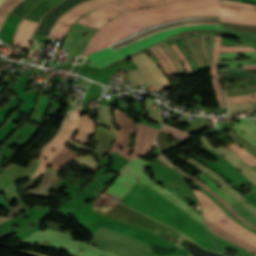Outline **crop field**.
Masks as SVG:
<instances>
[{"label": "crop field", "instance_id": "03da06ac", "mask_svg": "<svg viewBox=\"0 0 256 256\" xmlns=\"http://www.w3.org/2000/svg\"><path fill=\"white\" fill-rule=\"evenodd\" d=\"M148 167L152 168L153 170H155L156 172L166 176V175H170L173 174L172 172L168 171L167 169L153 163L150 161V163L148 164Z\"/></svg>", "mask_w": 256, "mask_h": 256}, {"label": "crop field", "instance_id": "00972430", "mask_svg": "<svg viewBox=\"0 0 256 256\" xmlns=\"http://www.w3.org/2000/svg\"><path fill=\"white\" fill-rule=\"evenodd\" d=\"M93 131L94 122L89 120V116H82L80 129L73 139L83 144L84 141L92 135Z\"/></svg>", "mask_w": 256, "mask_h": 256}, {"label": "crop field", "instance_id": "b80d0937", "mask_svg": "<svg viewBox=\"0 0 256 256\" xmlns=\"http://www.w3.org/2000/svg\"><path fill=\"white\" fill-rule=\"evenodd\" d=\"M162 130H163V131H166V132H168V133H170V134H172V135H174V136H176V137H178V138H181V139H183V140H185V141H187L188 138L190 137V135L187 134V133L178 131V130H176V129H173V128L168 127V126H165V125L163 126Z\"/></svg>", "mask_w": 256, "mask_h": 256}, {"label": "crop field", "instance_id": "d3111659", "mask_svg": "<svg viewBox=\"0 0 256 256\" xmlns=\"http://www.w3.org/2000/svg\"><path fill=\"white\" fill-rule=\"evenodd\" d=\"M168 137H169V134L160 131L157 142L161 152H164L166 150H169L171 148H174L176 146L186 143L185 141L174 137V141L168 144Z\"/></svg>", "mask_w": 256, "mask_h": 256}, {"label": "crop field", "instance_id": "120bbe31", "mask_svg": "<svg viewBox=\"0 0 256 256\" xmlns=\"http://www.w3.org/2000/svg\"><path fill=\"white\" fill-rule=\"evenodd\" d=\"M129 79L134 87L148 82L139 70H129Z\"/></svg>", "mask_w": 256, "mask_h": 256}, {"label": "crop field", "instance_id": "bc2a9ffb", "mask_svg": "<svg viewBox=\"0 0 256 256\" xmlns=\"http://www.w3.org/2000/svg\"><path fill=\"white\" fill-rule=\"evenodd\" d=\"M44 175L45 176L42 179L41 184L38 187L28 191V193H30L31 195L39 196V197H47L48 195H50L47 192L53 190L58 182L57 172L53 170H49L47 168Z\"/></svg>", "mask_w": 256, "mask_h": 256}, {"label": "crop field", "instance_id": "9d1cf04e", "mask_svg": "<svg viewBox=\"0 0 256 256\" xmlns=\"http://www.w3.org/2000/svg\"><path fill=\"white\" fill-rule=\"evenodd\" d=\"M76 6H77V5H76ZM76 6H75V7H76ZM72 9H73V8H72ZM70 10H71V9H70ZM70 10H68V11H70ZM68 11H67V12H68ZM67 12H66V13H67ZM66 13H65V14H66ZM62 16H63V15H62ZM62 16H61V17H62ZM55 25H56V24H55ZM53 28H54V27H53ZM35 36H36V35H35Z\"/></svg>", "mask_w": 256, "mask_h": 256}, {"label": "crop field", "instance_id": "f4fd0767", "mask_svg": "<svg viewBox=\"0 0 256 256\" xmlns=\"http://www.w3.org/2000/svg\"><path fill=\"white\" fill-rule=\"evenodd\" d=\"M193 192L201 203L204 218L218 225L235 237L256 247V234L248 231L230 219L216 204L200 191L193 190Z\"/></svg>", "mask_w": 256, "mask_h": 256}, {"label": "crop field", "instance_id": "447ae74e", "mask_svg": "<svg viewBox=\"0 0 256 256\" xmlns=\"http://www.w3.org/2000/svg\"><path fill=\"white\" fill-rule=\"evenodd\" d=\"M255 102V101H254ZM240 104H243V103H240ZM232 105H237V104H232ZM229 106H231V105H229Z\"/></svg>", "mask_w": 256, "mask_h": 256}, {"label": "crop field", "instance_id": "5d738f31", "mask_svg": "<svg viewBox=\"0 0 256 256\" xmlns=\"http://www.w3.org/2000/svg\"><path fill=\"white\" fill-rule=\"evenodd\" d=\"M232 131H235V132H237L238 134L242 135V136L245 137L247 140H249L253 145L256 146V142H255L254 140H252V139H251L250 137H248L247 135L242 134L241 131H240L238 128H236L235 126H233Z\"/></svg>", "mask_w": 256, "mask_h": 256}, {"label": "crop field", "instance_id": "d32e631a", "mask_svg": "<svg viewBox=\"0 0 256 256\" xmlns=\"http://www.w3.org/2000/svg\"><path fill=\"white\" fill-rule=\"evenodd\" d=\"M22 0H7L0 6V25L10 10Z\"/></svg>", "mask_w": 256, "mask_h": 256}, {"label": "crop field", "instance_id": "d1516ede", "mask_svg": "<svg viewBox=\"0 0 256 256\" xmlns=\"http://www.w3.org/2000/svg\"><path fill=\"white\" fill-rule=\"evenodd\" d=\"M159 59L155 61L164 74L168 77L176 74H186L177 56L166 42L150 47Z\"/></svg>", "mask_w": 256, "mask_h": 256}, {"label": "crop field", "instance_id": "25e5ab78", "mask_svg": "<svg viewBox=\"0 0 256 256\" xmlns=\"http://www.w3.org/2000/svg\"><path fill=\"white\" fill-rule=\"evenodd\" d=\"M250 89H256V86L255 87H248V88H242V89H237V90L229 91V92H227V94L234 93V92H239V91H244V90H250Z\"/></svg>", "mask_w": 256, "mask_h": 256}, {"label": "crop field", "instance_id": "8a807250", "mask_svg": "<svg viewBox=\"0 0 256 256\" xmlns=\"http://www.w3.org/2000/svg\"><path fill=\"white\" fill-rule=\"evenodd\" d=\"M219 8L220 6L217 0H188V1L166 5L162 7L124 13L118 16L117 18H115L114 20H112L111 22H109L108 24H106L105 26H103L102 28H100L95 33V35L89 42L83 56H87L91 53L102 50L110 46L114 42L136 31L155 25L157 23L176 19V18L219 12ZM214 20H219V13L176 19V20L160 23L155 26L149 27L147 29L141 30L121 41L116 42L111 46L113 47L114 50H116L151 32H155V31L176 26V25L202 22V21H214ZM194 29H221V26L219 24V21L202 22V23L176 26V27L168 28L155 33H151L116 51H114L110 46L102 51L96 52L88 56L87 58L91 59L89 65L96 66L102 62L112 59L118 55H121L127 51H130L136 47H139L159 37L177 33V32L194 30ZM220 32L221 30H194V31H187V32H182V33L162 37L148 44H145L139 48H136L130 52H127L121 56H118L112 60L102 63L96 67L102 68L112 62H115L121 58L128 57L132 53H135L148 46L159 43L165 39L174 38V37L192 34V33H220Z\"/></svg>", "mask_w": 256, "mask_h": 256}, {"label": "crop field", "instance_id": "22f410ed", "mask_svg": "<svg viewBox=\"0 0 256 256\" xmlns=\"http://www.w3.org/2000/svg\"><path fill=\"white\" fill-rule=\"evenodd\" d=\"M131 59L151 82L155 92L165 86H169V82L162 71L159 69L156 63L144 52L131 57Z\"/></svg>", "mask_w": 256, "mask_h": 256}, {"label": "crop field", "instance_id": "bd1437ed", "mask_svg": "<svg viewBox=\"0 0 256 256\" xmlns=\"http://www.w3.org/2000/svg\"><path fill=\"white\" fill-rule=\"evenodd\" d=\"M175 166V165H174ZM176 167V166H175ZM177 168V167H176ZM177 170L181 173L182 170H180L179 168H177ZM184 175L188 176L187 174L183 173ZM189 177V176H188ZM192 178V177H190ZM194 181H196L198 184H200L202 187H204L207 191H209L215 198H217L222 204H224L238 219H240L242 222L246 223L247 225L253 227L256 229V226L248 223L246 220H244L242 217H240L226 202H224L219 196H217L215 193H213L205 184H203L201 181L192 178Z\"/></svg>", "mask_w": 256, "mask_h": 256}, {"label": "crop field", "instance_id": "ae1a2a85", "mask_svg": "<svg viewBox=\"0 0 256 256\" xmlns=\"http://www.w3.org/2000/svg\"><path fill=\"white\" fill-rule=\"evenodd\" d=\"M199 180L206 183L211 189H213L222 199H224L230 206L238 203L235 201L231 196H229L227 193H225L222 189H220L211 179H209L206 175L203 173L200 177H196Z\"/></svg>", "mask_w": 256, "mask_h": 256}, {"label": "crop field", "instance_id": "5a996713", "mask_svg": "<svg viewBox=\"0 0 256 256\" xmlns=\"http://www.w3.org/2000/svg\"><path fill=\"white\" fill-rule=\"evenodd\" d=\"M205 150V152L213 155L216 157L219 161L213 163V162H206L201 157H197L194 154H191L196 159L200 160L201 162L208 165L210 168H212L214 171H216L218 174H220L222 177H224L229 183L233 182L234 184L231 185L236 189H240L239 187L251 184L252 189H250L252 192L244 196L247 200H249L254 206H256V186L246 177L244 176L237 168H235L231 163H229L226 159H224L219 154L213 152L212 150L208 149L204 145L201 147Z\"/></svg>", "mask_w": 256, "mask_h": 256}, {"label": "crop field", "instance_id": "89e229c0", "mask_svg": "<svg viewBox=\"0 0 256 256\" xmlns=\"http://www.w3.org/2000/svg\"><path fill=\"white\" fill-rule=\"evenodd\" d=\"M240 68L256 71V65L242 66V67H240Z\"/></svg>", "mask_w": 256, "mask_h": 256}, {"label": "crop field", "instance_id": "1f2cbd36", "mask_svg": "<svg viewBox=\"0 0 256 256\" xmlns=\"http://www.w3.org/2000/svg\"><path fill=\"white\" fill-rule=\"evenodd\" d=\"M157 157H159L161 160H163L165 163H167L169 166H171V167H173L172 166V164L170 163V161H168L165 157H163L161 154L159 155V156H157ZM174 168V167H173ZM175 169V168H174Z\"/></svg>", "mask_w": 256, "mask_h": 256}, {"label": "crop field", "instance_id": "028f5c9d", "mask_svg": "<svg viewBox=\"0 0 256 256\" xmlns=\"http://www.w3.org/2000/svg\"><path fill=\"white\" fill-rule=\"evenodd\" d=\"M238 55H243L246 58H256V52L227 53V54H220V60H239Z\"/></svg>", "mask_w": 256, "mask_h": 256}, {"label": "crop field", "instance_id": "dd49c442", "mask_svg": "<svg viewBox=\"0 0 256 256\" xmlns=\"http://www.w3.org/2000/svg\"><path fill=\"white\" fill-rule=\"evenodd\" d=\"M205 37H208L207 44ZM202 39L203 52L211 68L213 89L216 93L217 100L220 101L221 108L228 107L225 91L220 84V75L217 72V67H219V52H245L256 50L252 47H247L245 49L244 46L220 47L221 37L219 36H202Z\"/></svg>", "mask_w": 256, "mask_h": 256}, {"label": "crop field", "instance_id": "1d79db26", "mask_svg": "<svg viewBox=\"0 0 256 256\" xmlns=\"http://www.w3.org/2000/svg\"><path fill=\"white\" fill-rule=\"evenodd\" d=\"M5 0H0V5L4 2Z\"/></svg>", "mask_w": 256, "mask_h": 256}, {"label": "crop field", "instance_id": "d9b57169", "mask_svg": "<svg viewBox=\"0 0 256 256\" xmlns=\"http://www.w3.org/2000/svg\"><path fill=\"white\" fill-rule=\"evenodd\" d=\"M197 139H199L208 147L212 148L211 142L205 136L199 137ZM212 149L223 155L229 162H231L235 167H237L256 185V172L252 170L247 164H245L241 159H239L235 154H233L229 149H227L224 146Z\"/></svg>", "mask_w": 256, "mask_h": 256}, {"label": "crop field", "instance_id": "34b2d1b8", "mask_svg": "<svg viewBox=\"0 0 256 256\" xmlns=\"http://www.w3.org/2000/svg\"><path fill=\"white\" fill-rule=\"evenodd\" d=\"M41 240L49 241L51 244H43L40 242ZM21 242L33 245L41 244L52 249H64L66 252L75 254L77 256H114L88 244L72 240V235L70 234L60 233L48 229L44 230L43 232L37 231L34 234L22 239ZM80 250L83 251V254L79 253Z\"/></svg>", "mask_w": 256, "mask_h": 256}, {"label": "crop field", "instance_id": "3316defc", "mask_svg": "<svg viewBox=\"0 0 256 256\" xmlns=\"http://www.w3.org/2000/svg\"><path fill=\"white\" fill-rule=\"evenodd\" d=\"M148 162L138 158L131 162L119 175L115 183L106 192L122 199L145 171Z\"/></svg>", "mask_w": 256, "mask_h": 256}, {"label": "crop field", "instance_id": "28ad6ade", "mask_svg": "<svg viewBox=\"0 0 256 256\" xmlns=\"http://www.w3.org/2000/svg\"><path fill=\"white\" fill-rule=\"evenodd\" d=\"M116 0H91L83 4L78 5L76 8L71 10L65 16L58 20L54 28L52 29L50 36L52 38L60 39L65 36L71 23L81 17L82 15L92 11L93 9L100 7L104 4L113 2ZM74 23V22H73Z\"/></svg>", "mask_w": 256, "mask_h": 256}, {"label": "crop field", "instance_id": "214f88e0", "mask_svg": "<svg viewBox=\"0 0 256 256\" xmlns=\"http://www.w3.org/2000/svg\"><path fill=\"white\" fill-rule=\"evenodd\" d=\"M93 139L99 142L98 145L95 147L96 150L89 149V148H87L86 150L95 152V154L101 158L111 146L114 140V137L111 136L107 128L97 127L96 135L94 136Z\"/></svg>", "mask_w": 256, "mask_h": 256}, {"label": "crop field", "instance_id": "c035e120", "mask_svg": "<svg viewBox=\"0 0 256 256\" xmlns=\"http://www.w3.org/2000/svg\"><path fill=\"white\" fill-rule=\"evenodd\" d=\"M82 158L80 159H76V161L81 162L83 164H85L87 167L93 169V171H96L97 168V162L94 161L93 157L90 156H85L83 157L82 155H80Z\"/></svg>", "mask_w": 256, "mask_h": 256}, {"label": "crop field", "instance_id": "e1f06a70", "mask_svg": "<svg viewBox=\"0 0 256 256\" xmlns=\"http://www.w3.org/2000/svg\"><path fill=\"white\" fill-rule=\"evenodd\" d=\"M36 27H37L36 24H32V23L29 24L28 29L24 35V39L22 43L23 47H30L31 37Z\"/></svg>", "mask_w": 256, "mask_h": 256}, {"label": "crop field", "instance_id": "d23c7cc5", "mask_svg": "<svg viewBox=\"0 0 256 256\" xmlns=\"http://www.w3.org/2000/svg\"><path fill=\"white\" fill-rule=\"evenodd\" d=\"M21 208H23V206L20 205V206L14 208V209L11 211V213H9V214H7V215L10 216V215L13 214L15 211H17V210H19V209H21ZM24 210H26V209L23 208V209H21V210L15 212L13 215H11V217L14 216V215H16V214H18V213H20V211H24Z\"/></svg>", "mask_w": 256, "mask_h": 256}, {"label": "crop field", "instance_id": "733c2abd", "mask_svg": "<svg viewBox=\"0 0 256 256\" xmlns=\"http://www.w3.org/2000/svg\"><path fill=\"white\" fill-rule=\"evenodd\" d=\"M136 128H137V134H136V142H135V149H134L135 152L130 155L129 157L130 160L144 153L148 144L155 141V136L158 131V129L146 126L142 123H137Z\"/></svg>", "mask_w": 256, "mask_h": 256}, {"label": "crop field", "instance_id": "c21b1889", "mask_svg": "<svg viewBox=\"0 0 256 256\" xmlns=\"http://www.w3.org/2000/svg\"><path fill=\"white\" fill-rule=\"evenodd\" d=\"M28 23H29V21H26L24 19L21 21V23L19 25V28H18V30L16 32V36L14 38L13 44L21 43L22 35H23L24 30H25V28H26Z\"/></svg>", "mask_w": 256, "mask_h": 256}, {"label": "crop field", "instance_id": "425ffa30", "mask_svg": "<svg viewBox=\"0 0 256 256\" xmlns=\"http://www.w3.org/2000/svg\"><path fill=\"white\" fill-rule=\"evenodd\" d=\"M254 92H256V90L245 91V92H240V93H235V94H229V95H227V97H230V96H238V95H244V94L254 93Z\"/></svg>", "mask_w": 256, "mask_h": 256}, {"label": "crop field", "instance_id": "e52e79f7", "mask_svg": "<svg viewBox=\"0 0 256 256\" xmlns=\"http://www.w3.org/2000/svg\"><path fill=\"white\" fill-rule=\"evenodd\" d=\"M106 215L120 221L144 227L156 235L178 244L182 234L118 203Z\"/></svg>", "mask_w": 256, "mask_h": 256}, {"label": "crop field", "instance_id": "0fb4a251", "mask_svg": "<svg viewBox=\"0 0 256 256\" xmlns=\"http://www.w3.org/2000/svg\"><path fill=\"white\" fill-rule=\"evenodd\" d=\"M8 219H9V218H5V217L0 218V223L3 222V221H6V220H8Z\"/></svg>", "mask_w": 256, "mask_h": 256}, {"label": "crop field", "instance_id": "92a150f3", "mask_svg": "<svg viewBox=\"0 0 256 256\" xmlns=\"http://www.w3.org/2000/svg\"><path fill=\"white\" fill-rule=\"evenodd\" d=\"M221 12L238 14V15H243V16H249V17L256 18V15H254V14L221 9L220 10V20L223 21V22H229V23H240V24L256 25V19L247 18V17H243V16H238V15H232V14H225V13H221Z\"/></svg>", "mask_w": 256, "mask_h": 256}, {"label": "crop field", "instance_id": "ac0d7876", "mask_svg": "<svg viewBox=\"0 0 256 256\" xmlns=\"http://www.w3.org/2000/svg\"><path fill=\"white\" fill-rule=\"evenodd\" d=\"M93 235L112 241L114 243L120 244L122 246L128 247L133 250L137 246V244L140 242V239L138 238L132 237L130 235L119 232L117 230L106 227L104 225H102L98 230H96L93 233ZM95 236L90 241V243L97 245L118 256H146V255L156 256L150 252L149 244L142 240L138 244V246L135 248V250L138 252L144 253L146 255L132 251L130 249H127L125 247L111 243L109 241L103 240Z\"/></svg>", "mask_w": 256, "mask_h": 256}, {"label": "crop field", "instance_id": "dafd665d", "mask_svg": "<svg viewBox=\"0 0 256 256\" xmlns=\"http://www.w3.org/2000/svg\"><path fill=\"white\" fill-rule=\"evenodd\" d=\"M204 222H205L206 227L208 229L214 231L215 233H217L221 237H223V238H225V239H227V240H229V241H231V242H233V243H235V244H237V245H239V246H241V247H243V248L253 252L256 255V248L255 247H253V246H251V245H249V244H247V243H245V242H243V241H241V240L231 236L230 234L224 232L222 229H220L217 226H215L214 224L206 221L205 219H204Z\"/></svg>", "mask_w": 256, "mask_h": 256}, {"label": "crop field", "instance_id": "dbb93151", "mask_svg": "<svg viewBox=\"0 0 256 256\" xmlns=\"http://www.w3.org/2000/svg\"><path fill=\"white\" fill-rule=\"evenodd\" d=\"M71 144H73V145H75L76 147H78V148H80V149H84V147H82V146H80V145H77V144H75V143H73V142H70Z\"/></svg>", "mask_w": 256, "mask_h": 256}, {"label": "crop field", "instance_id": "73cf0c24", "mask_svg": "<svg viewBox=\"0 0 256 256\" xmlns=\"http://www.w3.org/2000/svg\"><path fill=\"white\" fill-rule=\"evenodd\" d=\"M14 251L21 252V253H25V254H30V255H35V256H43V255H39V254L32 253V252H29V251H24V250H17V249H14Z\"/></svg>", "mask_w": 256, "mask_h": 256}, {"label": "crop field", "instance_id": "0bd39190", "mask_svg": "<svg viewBox=\"0 0 256 256\" xmlns=\"http://www.w3.org/2000/svg\"><path fill=\"white\" fill-rule=\"evenodd\" d=\"M254 96H256V93L248 94V95H244V96H238V97H231V98H228V101H229V104L254 101V100H256V97H254ZM251 97H254V98H251Z\"/></svg>", "mask_w": 256, "mask_h": 256}, {"label": "crop field", "instance_id": "730fd06b", "mask_svg": "<svg viewBox=\"0 0 256 256\" xmlns=\"http://www.w3.org/2000/svg\"><path fill=\"white\" fill-rule=\"evenodd\" d=\"M110 109H111L110 106L100 105L98 109V114H97V121H98V124L109 127L112 131V135H115L113 119L110 114Z\"/></svg>", "mask_w": 256, "mask_h": 256}, {"label": "crop field", "instance_id": "5866460e", "mask_svg": "<svg viewBox=\"0 0 256 256\" xmlns=\"http://www.w3.org/2000/svg\"><path fill=\"white\" fill-rule=\"evenodd\" d=\"M256 64V59L242 60V61H229L220 62V68H232L242 65Z\"/></svg>", "mask_w": 256, "mask_h": 256}, {"label": "crop field", "instance_id": "d8731c3e", "mask_svg": "<svg viewBox=\"0 0 256 256\" xmlns=\"http://www.w3.org/2000/svg\"><path fill=\"white\" fill-rule=\"evenodd\" d=\"M80 110L81 107L71 110L70 119L64 121L61 131L42 149L40 153V163L36 169L34 177L40 178L50 160L54 158L57 153L63 150L66 143L70 141L78 128ZM53 149L56 151L52 152ZM44 157L48 159L43 160Z\"/></svg>", "mask_w": 256, "mask_h": 256}, {"label": "crop field", "instance_id": "4177f3b9", "mask_svg": "<svg viewBox=\"0 0 256 256\" xmlns=\"http://www.w3.org/2000/svg\"><path fill=\"white\" fill-rule=\"evenodd\" d=\"M66 148L50 162L54 169L59 170L61 166H67L78 155L67 150Z\"/></svg>", "mask_w": 256, "mask_h": 256}, {"label": "crop field", "instance_id": "4a817a6b", "mask_svg": "<svg viewBox=\"0 0 256 256\" xmlns=\"http://www.w3.org/2000/svg\"><path fill=\"white\" fill-rule=\"evenodd\" d=\"M139 181L148 184L150 187H152L154 190H156L158 193H160L162 196L167 198L169 201H171L173 204L178 206L180 209L186 211L188 214H190L194 219L202 223L201 215L196 213L194 210H192L187 204H185L182 200H180L177 196L173 195L169 191L161 188L156 183H154L152 180H150L144 173L140 177Z\"/></svg>", "mask_w": 256, "mask_h": 256}, {"label": "crop field", "instance_id": "1d83c4d3", "mask_svg": "<svg viewBox=\"0 0 256 256\" xmlns=\"http://www.w3.org/2000/svg\"><path fill=\"white\" fill-rule=\"evenodd\" d=\"M154 103V100L146 98L145 110L149 113V118L155 122L162 123L161 119V110L151 108Z\"/></svg>", "mask_w": 256, "mask_h": 256}, {"label": "crop field", "instance_id": "b54c1fbb", "mask_svg": "<svg viewBox=\"0 0 256 256\" xmlns=\"http://www.w3.org/2000/svg\"><path fill=\"white\" fill-rule=\"evenodd\" d=\"M251 107H254L253 103L238 105V106H232V107H229V108H230V110H236V109H245V108H251Z\"/></svg>", "mask_w": 256, "mask_h": 256}, {"label": "crop field", "instance_id": "eef30255", "mask_svg": "<svg viewBox=\"0 0 256 256\" xmlns=\"http://www.w3.org/2000/svg\"><path fill=\"white\" fill-rule=\"evenodd\" d=\"M221 8L233 9L256 14V5L238 3L230 0H218Z\"/></svg>", "mask_w": 256, "mask_h": 256}, {"label": "crop field", "instance_id": "750c4746", "mask_svg": "<svg viewBox=\"0 0 256 256\" xmlns=\"http://www.w3.org/2000/svg\"><path fill=\"white\" fill-rule=\"evenodd\" d=\"M234 125L256 141V124L252 119L239 118V124Z\"/></svg>", "mask_w": 256, "mask_h": 256}, {"label": "crop field", "instance_id": "412701ff", "mask_svg": "<svg viewBox=\"0 0 256 256\" xmlns=\"http://www.w3.org/2000/svg\"><path fill=\"white\" fill-rule=\"evenodd\" d=\"M145 1H148V0H119V1H116L109 5H106V6L96 9L94 12L88 14L87 16L83 17L82 19H80L77 22L88 27L111 12L135 5V4H138L141 2H145ZM179 1H183V0H151V1H148V2H145L142 4H138V5L111 13V14L107 15L106 17L102 18L101 20H99L98 22H96L95 24L91 25L90 28L99 29L104 24H106L109 20H111L114 17H116L124 12H127V11L157 7V6L171 4V3H175V2H179Z\"/></svg>", "mask_w": 256, "mask_h": 256}, {"label": "crop field", "instance_id": "cbeb9de0", "mask_svg": "<svg viewBox=\"0 0 256 256\" xmlns=\"http://www.w3.org/2000/svg\"><path fill=\"white\" fill-rule=\"evenodd\" d=\"M114 113L117 117V124L121 126V131L117 132V140L113 147L110 149L109 153L117 152L125 158H128V151L133 150L132 148L126 147L128 131H135V122L133 119L129 118L128 115L122 113L121 111L115 109ZM117 145L124 147L121 151Z\"/></svg>", "mask_w": 256, "mask_h": 256}, {"label": "crop field", "instance_id": "5142ce71", "mask_svg": "<svg viewBox=\"0 0 256 256\" xmlns=\"http://www.w3.org/2000/svg\"><path fill=\"white\" fill-rule=\"evenodd\" d=\"M186 163L192 165L193 167L199 169L200 171L215 179L223 189H225L232 196H234L238 201H240L244 205L246 209H248L253 215L256 216V207H254L250 202H248L240 193L236 192L233 188H231L220 176H218L212 170L191 158Z\"/></svg>", "mask_w": 256, "mask_h": 256}, {"label": "crop field", "instance_id": "a9b5d70f", "mask_svg": "<svg viewBox=\"0 0 256 256\" xmlns=\"http://www.w3.org/2000/svg\"><path fill=\"white\" fill-rule=\"evenodd\" d=\"M171 49L176 53V55L179 57V59L181 60L187 74H192L193 71H197L198 69L196 68L190 54L188 53V51L186 50V48L184 47V45H178L179 49L183 52V54L186 56V58L188 59V61L190 62L192 69L190 67V65L188 64L185 56L182 54V52L178 49V47L176 46V44L170 45Z\"/></svg>", "mask_w": 256, "mask_h": 256}]
</instances>
